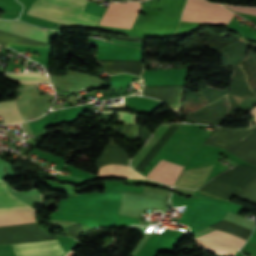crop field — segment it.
<instances>
[{"label": "crop field", "instance_id": "8a807250", "mask_svg": "<svg viewBox=\"0 0 256 256\" xmlns=\"http://www.w3.org/2000/svg\"><path fill=\"white\" fill-rule=\"evenodd\" d=\"M87 0H35L27 14L58 23L97 27L100 17L83 12Z\"/></svg>", "mask_w": 256, "mask_h": 256}, {"label": "crop field", "instance_id": "ac0d7876", "mask_svg": "<svg viewBox=\"0 0 256 256\" xmlns=\"http://www.w3.org/2000/svg\"><path fill=\"white\" fill-rule=\"evenodd\" d=\"M233 14L218 3L187 0L181 21L228 24Z\"/></svg>", "mask_w": 256, "mask_h": 256}, {"label": "crop field", "instance_id": "34b2d1b8", "mask_svg": "<svg viewBox=\"0 0 256 256\" xmlns=\"http://www.w3.org/2000/svg\"><path fill=\"white\" fill-rule=\"evenodd\" d=\"M0 31L7 32L13 35L44 41L46 42L47 30L38 29L33 26L23 24L17 21H1ZM0 32V44L9 46L8 43L44 46L48 47L47 43L29 40L17 36H13L7 33Z\"/></svg>", "mask_w": 256, "mask_h": 256}, {"label": "crop field", "instance_id": "412701ff", "mask_svg": "<svg viewBox=\"0 0 256 256\" xmlns=\"http://www.w3.org/2000/svg\"><path fill=\"white\" fill-rule=\"evenodd\" d=\"M140 7L139 2L111 3L99 25L131 29Z\"/></svg>", "mask_w": 256, "mask_h": 256}, {"label": "crop field", "instance_id": "f4fd0767", "mask_svg": "<svg viewBox=\"0 0 256 256\" xmlns=\"http://www.w3.org/2000/svg\"><path fill=\"white\" fill-rule=\"evenodd\" d=\"M17 256H64L58 241L12 245Z\"/></svg>", "mask_w": 256, "mask_h": 256}, {"label": "crop field", "instance_id": "dd49c442", "mask_svg": "<svg viewBox=\"0 0 256 256\" xmlns=\"http://www.w3.org/2000/svg\"><path fill=\"white\" fill-rule=\"evenodd\" d=\"M32 222H36L35 214L29 206L0 209V226Z\"/></svg>", "mask_w": 256, "mask_h": 256}, {"label": "crop field", "instance_id": "e52e79f7", "mask_svg": "<svg viewBox=\"0 0 256 256\" xmlns=\"http://www.w3.org/2000/svg\"><path fill=\"white\" fill-rule=\"evenodd\" d=\"M181 169L182 166L161 160L146 177L173 186Z\"/></svg>", "mask_w": 256, "mask_h": 256}, {"label": "crop field", "instance_id": "d8731c3e", "mask_svg": "<svg viewBox=\"0 0 256 256\" xmlns=\"http://www.w3.org/2000/svg\"><path fill=\"white\" fill-rule=\"evenodd\" d=\"M170 125H161L151 136L148 142L140 149V151L131 160L130 165L132 168H136L137 165L144 159V157L149 153V151L154 147V145L159 141V139L168 130Z\"/></svg>", "mask_w": 256, "mask_h": 256}, {"label": "crop field", "instance_id": "5a996713", "mask_svg": "<svg viewBox=\"0 0 256 256\" xmlns=\"http://www.w3.org/2000/svg\"><path fill=\"white\" fill-rule=\"evenodd\" d=\"M0 116L5 123H16L23 121L15 101L0 102Z\"/></svg>", "mask_w": 256, "mask_h": 256}, {"label": "crop field", "instance_id": "3316defc", "mask_svg": "<svg viewBox=\"0 0 256 256\" xmlns=\"http://www.w3.org/2000/svg\"><path fill=\"white\" fill-rule=\"evenodd\" d=\"M199 238L214 241V242L229 244L238 249H240L242 247V245L244 244V242H242L234 237H231L219 230H215V231H213L209 234L203 235Z\"/></svg>", "mask_w": 256, "mask_h": 256}, {"label": "crop field", "instance_id": "28ad6ade", "mask_svg": "<svg viewBox=\"0 0 256 256\" xmlns=\"http://www.w3.org/2000/svg\"><path fill=\"white\" fill-rule=\"evenodd\" d=\"M26 205L20 199L9 192L4 181H0V208L16 207Z\"/></svg>", "mask_w": 256, "mask_h": 256}, {"label": "crop field", "instance_id": "d1516ede", "mask_svg": "<svg viewBox=\"0 0 256 256\" xmlns=\"http://www.w3.org/2000/svg\"><path fill=\"white\" fill-rule=\"evenodd\" d=\"M197 242L199 245L209 253L217 254V255H230L234 256L236 251L234 248L225 246V245H220V244H215V243H210V242H205L197 239Z\"/></svg>", "mask_w": 256, "mask_h": 256}, {"label": "crop field", "instance_id": "22f410ed", "mask_svg": "<svg viewBox=\"0 0 256 256\" xmlns=\"http://www.w3.org/2000/svg\"><path fill=\"white\" fill-rule=\"evenodd\" d=\"M8 77L25 84L49 81L47 76L39 73L7 74Z\"/></svg>", "mask_w": 256, "mask_h": 256}, {"label": "crop field", "instance_id": "cbeb9de0", "mask_svg": "<svg viewBox=\"0 0 256 256\" xmlns=\"http://www.w3.org/2000/svg\"><path fill=\"white\" fill-rule=\"evenodd\" d=\"M86 12H89L93 15L96 16H102L103 12L105 11V8L99 7L91 2H87L86 8H85Z\"/></svg>", "mask_w": 256, "mask_h": 256}, {"label": "crop field", "instance_id": "5142ce71", "mask_svg": "<svg viewBox=\"0 0 256 256\" xmlns=\"http://www.w3.org/2000/svg\"><path fill=\"white\" fill-rule=\"evenodd\" d=\"M115 113V112H106ZM119 121L122 123H136L135 115L119 112Z\"/></svg>", "mask_w": 256, "mask_h": 256}, {"label": "crop field", "instance_id": "d9b57169", "mask_svg": "<svg viewBox=\"0 0 256 256\" xmlns=\"http://www.w3.org/2000/svg\"><path fill=\"white\" fill-rule=\"evenodd\" d=\"M225 5V4H224ZM235 11L239 12H245V13H251V14H256V8H250V7H235V6H230V5H225Z\"/></svg>", "mask_w": 256, "mask_h": 256}, {"label": "crop field", "instance_id": "733c2abd", "mask_svg": "<svg viewBox=\"0 0 256 256\" xmlns=\"http://www.w3.org/2000/svg\"><path fill=\"white\" fill-rule=\"evenodd\" d=\"M250 113L252 114V116H253V118H254V120H255V122H256V107L253 108V109L250 111Z\"/></svg>", "mask_w": 256, "mask_h": 256}, {"label": "crop field", "instance_id": "4a817a6b", "mask_svg": "<svg viewBox=\"0 0 256 256\" xmlns=\"http://www.w3.org/2000/svg\"><path fill=\"white\" fill-rule=\"evenodd\" d=\"M0 18H2V14H0Z\"/></svg>", "mask_w": 256, "mask_h": 256}]
</instances>
